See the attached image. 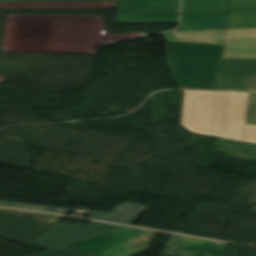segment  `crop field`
Returning <instances> with one entry per match:
<instances>
[{
	"mask_svg": "<svg viewBox=\"0 0 256 256\" xmlns=\"http://www.w3.org/2000/svg\"><path fill=\"white\" fill-rule=\"evenodd\" d=\"M178 14H118L116 23H177Z\"/></svg>",
	"mask_w": 256,
	"mask_h": 256,
	"instance_id": "22f410ed",
	"label": "crop field"
},
{
	"mask_svg": "<svg viewBox=\"0 0 256 256\" xmlns=\"http://www.w3.org/2000/svg\"><path fill=\"white\" fill-rule=\"evenodd\" d=\"M151 231L123 227L60 248L87 256H133L144 248L130 244V241L150 234Z\"/></svg>",
	"mask_w": 256,
	"mask_h": 256,
	"instance_id": "f4fd0767",
	"label": "crop field"
},
{
	"mask_svg": "<svg viewBox=\"0 0 256 256\" xmlns=\"http://www.w3.org/2000/svg\"><path fill=\"white\" fill-rule=\"evenodd\" d=\"M146 208V206L126 202L117 207L111 214L94 211L89 218L132 225Z\"/></svg>",
	"mask_w": 256,
	"mask_h": 256,
	"instance_id": "5a996713",
	"label": "crop field"
},
{
	"mask_svg": "<svg viewBox=\"0 0 256 256\" xmlns=\"http://www.w3.org/2000/svg\"><path fill=\"white\" fill-rule=\"evenodd\" d=\"M164 35L167 41L172 42L223 44L222 30L176 31Z\"/></svg>",
	"mask_w": 256,
	"mask_h": 256,
	"instance_id": "3316defc",
	"label": "crop field"
},
{
	"mask_svg": "<svg viewBox=\"0 0 256 256\" xmlns=\"http://www.w3.org/2000/svg\"><path fill=\"white\" fill-rule=\"evenodd\" d=\"M181 125L193 133L256 144V93L185 91Z\"/></svg>",
	"mask_w": 256,
	"mask_h": 256,
	"instance_id": "8a807250",
	"label": "crop field"
},
{
	"mask_svg": "<svg viewBox=\"0 0 256 256\" xmlns=\"http://www.w3.org/2000/svg\"><path fill=\"white\" fill-rule=\"evenodd\" d=\"M225 29L256 28V0H228Z\"/></svg>",
	"mask_w": 256,
	"mask_h": 256,
	"instance_id": "e52e79f7",
	"label": "crop field"
},
{
	"mask_svg": "<svg viewBox=\"0 0 256 256\" xmlns=\"http://www.w3.org/2000/svg\"><path fill=\"white\" fill-rule=\"evenodd\" d=\"M1 206H9V207H17V208H25V209H33V210H41L55 213H63L68 214L71 210L67 209H59V208H51V207H43V206H34V205H26V204H18V203H9V202H1Z\"/></svg>",
	"mask_w": 256,
	"mask_h": 256,
	"instance_id": "cbeb9de0",
	"label": "crop field"
},
{
	"mask_svg": "<svg viewBox=\"0 0 256 256\" xmlns=\"http://www.w3.org/2000/svg\"><path fill=\"white\" fill-rule=\"evenodd\" d=\"M163 256H225L226 244L173 235Z\"/></svg>",
	"mask_w": 256,
	"mask_h": 256,
	"instance_id": "dd49c442",
	"label": "crop field"
},
{
	"mask_svg": "<svg viewBox=\"0 0 256 256\" xmlns=\"http://www.w3.org/2000/svg\"><path fill=\"white\" fill-rule=\"evenodd\" d=\"M32 256H82V255H78L75 253L67 252V251L56 248V249L48 250Z\"/></svg>",
	"mask_w": 256,
	"mask_h": 256,
	"instance_id": "5142ce71",
	"label": "crop field"
},
{
	"mask_svg": "<svg viewBox=\"0 0 256 256\" xmlns=\"http://www.w3.org/2000/svg\"><path fill=\"white\" fill-rule=\"evenodd\" d=\"M182 13H226L225 0H182Z\"/></svg>",
	"mask_w": 256,
	"mask_h": 256,
	"instance_id": "d1516ede",
	"label": "crop field"
},
{
	"mask_svg": "<svg viewBox=\"0 0 256 256\" xmlns=\"http://www.w3.org/2000/svg\"><path fill=\"white\" fill-rule=\"evenodd\" d=\"M172 70L181 89L214 90L223 45L167 42Z\"/></svg>",
	"mask_w": 256,
	"mask_h": 256,
	"instance_id": "412701ff",
	"label": "crop field"
},
{
	"mask_svg": "<svg viewBox=\"0 0 256 256\" xmlns=\"http://www.w3.org/2000/svg\"><path fill=\"white\" fill-rule=\"evenodd\" d=\"M179 0H121L119 13H177Z\"/></svg>",
	"mask_w": 256,
	"mask_h": 256,
	"instance_id": "d8731c3e",
	"label": "crop field"
},
{
	"mask_svg": "<svg viewBox=\"0 0 256 256\" xmlns=\"http://www.w3.org/2000/svg\"><path fill=\"white\" fill-rule=\"evenodd\" d=\"M217 90L256 91V29L225 30Z\"/></svg>",
	"mask_w": 256,
	"mask_h": 256,
	"instance_id": "34b2d1b8",
	"label": "crop field"
},
{
	"mask_svg": "<svg viewBox=\"0 0 256 256\" xmlns=\"http://www.w3.org/2000/svg\"><path fill=\"white\" fill-rule=\"evenodd\" d=\"M226 15H182L177 30L222 29Z\"/></svg>",
	"mask_w": 256,
	"mask_h": 256,
	"instance_id": "28ad6ade",
	"label": "crop field"
},
{
	"mask_svg": "<svg viewBox=\"0 0 256 256\" xmlns=\"http://www.w3.org/2000/svg\"><path fill=\"white\" fill-rule=\"evenodd\" d=\"M0 1H118V0H0Z\"/></svg>",
	"mask_w": 256,
	"mask_h": 256,
	"instance_id": "d9b57169",
	"label": "crop field"
},
{
	"mask_svg": "<svg viewBox=\"0 0 256 256\" xmlns=\"http://www.w3.org/2000/svg\"><path fill=\"white\" fill-rule=\"evenodd\" d=\"M63 217L16 210H0V236L53 248L122 226L90 222L58 223Z\"/></svg>",
	"mask_w": 256,
	"mask_h": 256,
	"instance_id": "ac0d7876",
	"label": "crop field"
}]
</instances>
